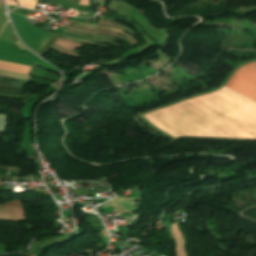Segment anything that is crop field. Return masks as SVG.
<instances>
[{
  "instance_id": "obj_2",
  "label": "crop field",
  "mask_w": 256,
  "mask_h": 256,
  "mask_svg": "<svg viewBox=\"0 0 256 256\" xmlns=\"http://www.w3.org/2000/svg\"><path fill=\"white\" fill-rule=\"evenodd\" d=\"M98 33H102V34H108V35H111L113 37H117V38H120V39H123L125 41H127L131 46L135 45V44H138L139 42H137L133 37L125 34L124 32L118 30V29H114V28H109V27H102V26H99L98 28ZM116 33H119L123 36H125L127 39L117 35Z\"/></svg>"
},
{
  "instance_id": "obj_9",
  "label": "crop field",
  "mask_w": 256,
  "mask_h": 256,
  "mask_svg": "<svg viewBox=\"0 0 256 256\" xmlns=\"http://www.w3.org/2000/svg\"><path fill=\"white\" fill-rule=\"evenodd\" d=\"M37 0H18L20 6L33 9Z\"/></svg>"
},
{
  "instance_id": "obj_7",
  "label": "crop field",
  "mask_w": 256,
  "mask_h": 256,
  "mask_svg": "<svg viewBox=\"0 0 256 256\" xmlns=\"http://www.w3.org/2000/svg\"><path fill=\"white\" fill-rule=\"evenodd\" d=\"M52 48H54L55 50L65 54V55H69V56H73V57H80V55L74 54V53L60 47L59 45H57L55 43L53 44Z\"/></svg>"
},
{
  "instance_id": "obj_3",
  "label": "crop field",
  "mask_w": 256,
  "mask_h": 256,
  "mask_svg": "<svg viewBox=\"0 0 256 256\" xmlns=\"http://www.w3.org/2000/svg\"><path fill=\"white\" fill-rule=\"evenodd\" d=\"M0 68L28 73L31 67L0 61Z\"/></svg>"
},
{
  "instance_id": "obj_8",
  "label": "crop field",
  "mask_w": 256,
  "mask_h": 256,
  "mask_svg": "<svg viewBox=\"0 0 256 256\" xmlns=\"http://www.w3.org/2000/svg\"><path fill=\"white\" fill-rule=\"evenodd\" d=\"M8 18L5 15V9L3 4L0 6V31L7 22Z\"/></svg>"
},
{
  "instance_id": "obj_1",
  "label": "crop field",
  "mask_w": 256,
  "mask_h": 256,
  "mask_svg": "<svg viewBox=\"0 0 256 256\" xmlns=\"http://www.w3.org/2000/svg\"><path fill=\"white\" fill-rule=\"evenodd\" d=\"M225 85L256 101V61L238 68ZM231 89L224 86L144 117L175 138L256 139V102Z\"/></svg>"
},
{
  "instance_id": "obj_13",
  "label": "crop field",
  "mask_w": 256,
  "mask_h": 256,
  "mask_svg": "<svg viewBox=\"0 0 256 256\" xmlns=\"http://www.w3.org/2000/svg\"><path fill=\"white\" fill-rule=\"evenodd\" d=\"M79 4L90 5V4L88 3V0H81Z\"/></svg>"
},
{
  "instance_id": "obj_5",
  "label": "crop field",
  "mask_w": 256,
  "mask_h": 256,
  "mask_svg": "<svg viewBox=\"0 0 256 256\" xmlns=\"http://www.w3.org/2000/svg\"><path fill=\"white\" fill-rule=\"evenodd\" d=\"M99 24L108 25V26H112V27H115V28L122 29V30L127 31L128 33H130L133 37H135L132 31H130L128 28H126V27H124L120 24H117L116 22L107 21V22H99Z\"/></svg>"
},
{
  "instance_id": "obj_11",
  "label": "crop field",
  "mask_w": 256,
  "mask_h": 256,
  "mask_svg": "<svg viewBox=\"0 0 256 256\" xmlns=\"http://www.w3.org/2000/svg\"><path fill=\"white\" fill-rule=\"evenodd\" d=\"M67 28H68V29H74V30H79V31H83V32H88V33L95 34L94 31L84 30V29L75 28V27H70V26H67Z\"/></svg>"
},
{
  "instance_id": "obj_6",
  "label": "crop field",
  "mask_w": 256,
  "mask_h": 256,
  "mask_svg": "<svg viewBox=\"0 0 256 256\" xmlns=\"http://www.w3.org/2000/svg\"><path fill=\"white\" fill-rule=\"evenodd\" d=\"M0 75L14 77V78H20V79H25V80H28V78H29L28 75L17 74V73L2 71V70H0Z\"/></svg>"
},
{
  "instance_id": "obj_10",
  "label": "crop field",
  "mask_w": 256,
  "mask_h": 256,
  "mask_svg": "<svg viewBox=\"0 0 256 256\" xmlns=\"http://www.w3.org/2000/svg\"><path fill=\"white\" fill-rule=\"evenodd\" d=\"M6 115H0V132L5 128Z\"/></svg>"
},
{
  "instance_id": "obj_14",
  "label": "crop field",
  "mask_w": 256,
  "mask_h": 256,
  "mask_svg": "<svg viewBox=\"0 0 256 256\" xmlns=\"http://www.w3.org/2000/svg\"><path fill=\"white\" fill-rule=\"evenodd\" d=\"M2 3V1L0 0V4Z\"/></svg>"
},
{
  "instance_id": "obj_12",
  "label": "crop field",
  "mask_w": 256,
  "mask_h": 256,
  "mask_svg": "<svg viewBox=\"0 0 256 256\" xmlns=\"http://www.w3.org/2000/svg\"><path fill=\"white\" fill-rule=\"evenodd\" d=\"M5 2L8 5H16V3L13 0H5Z\"/></svg>"
},
{
  "instance_id": "obj_4",
  "label": "crop field",
  "mask_w": 256,
  "mask_h": 256,
  "mask_svg": "<svg viewBox=\"0 0 256 256\" xmlns=\"http://www.w3.org/2000/svg\"><path fill=\"white\" fill-rule=\"evenodd\" d=\"M55 43L65 47L69 50H72V49H75V48L81 46V44H77V43L70 42V41H67V40H64V39H60V38H58Z\"/></svg>"
}]
</instances>
